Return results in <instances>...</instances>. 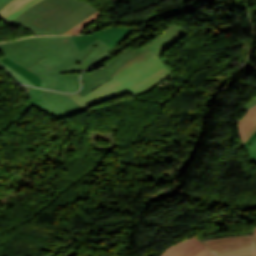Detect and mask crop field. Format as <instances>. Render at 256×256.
<instances>
[{
	"mask_svg": "<svg viewBox=\"0 0 256 256\" xmlns=\"http://www.w3.org/2000/svg\"><path fill=\"white\" fill-rule=\"evenodd\" d=\"M186 30L173 24L152 41L145 48L150 51L130 60L112 77L113 79L83 98L77 93L68 94L82 106L115 95L125 90L134 97L140 96L150 88L167 79L174 71L160 56L186 34Z\"/></svg>",
	"mask_w": 256,
	"mask_h": 256,
	"instance_id": "8a807250",
	"label": "crop field"
},
{
	"mask_svg": "<svg viewBox=\"0 0 256 256\" xmlns=\"http://www.w3.org/2000/svg\"><path fill=\"white\" fill-rule=\"evenodd\" d=\"M110 49L98 40L77 55L44 59L29 70L42 79L40 87L75 92L80 88L79 74L60 75V72L82 71L100 63L110 54Z\"/></svg>",
	"mask_w": 256,
	"mask_h": 256,
	"instance_id": "ac0d7876",
	"label": "crop field"
},
{
	"mask_svg": "<svg viewBox=\"0 0 256 256\" xmlns=\"http://www.w3.org/2000/svg\"><path fill=\"white\" fill-rule=\"evenodd\" d=\"M94 6L79 0H44L29 8L11 23L23 25L37 34H56Z\"/></svg>",
	"mask_w": 256,
	"mask_h": 256,
	"instance_id": "34b2d1b8",
	"label": "crop field"
},
{
	"mask_svg": "<svg viewBox=\"0 0 256 256\" xmlns=\"http://www.w3.org/2000/svg\"><path fill=\"white\" fill-rule=\"evenodd\" d=\"M0 50L28 69L44 58L78 53L70 36L25 38L2 43Z\"/></svg>",
	"mask_w": 256,
	"mask_h": 256,
	"instance_id": "412701ff",
	"label": "crop field"
},
{
	"mask_svg": "<svg viewBox=\"0 0 256 256\" xmlns=\"http://www.w3.org/2000/svg\"><path fill=\"white\" fill-rule=\"evenodd\" d=\"M25 88L31 98L33 106L57 118L86 111L67 94L33 87Z\"/></svg>",
	"mask_w": 256,
	"mask_h": 256,
	"instance_id": "f4fd0767",
	"label": "crop field"
},
{
	"mask_svg": "<svg viewBox=\"0 0 256 256\" xmlns=\"http://www.w3.org/2000/svg\"><path fill=\"white\" fill-rule=\"evenodd\" d=\"M148 50L142 48L140 50L132 51V50H125L110 62H108L104 67L93 71L92 73L88 74L84 72L82 74V84L83 88L81 91L77 92L82 97L92 91L93 89L97 88L98 86L102 85L104 82L112 79L111 76L119 70L125 63H127L130 59L146 52Z\"/></svg>",
	"mask_w": 256,
	"mask_h": 256,
	"instance_id": "dd49c442",
	"label": "crop field"
},
{
	"mask_svg": "<svg viewBox=\"0 0 256 256\" xmlns=\"http://www.w3.org/2000/svg\"><path fill=\"white\" fill-rule=\"evenodd\" d=\"M132 32L133 28L112 27L94 34L71 36V38L80 52L98 39L111 48H114L128 38Z\"/></svg>",
	"mask_w": 256,
	"mask_h": 256,
	"instance_id": "e52e79f7",
	"label": "crop field"
},
{
	"mask_svg": "<svg viewBox=\"0 0 256 256\" xmlns=\"http://www.w3.org/2000/svg\"><path fill=\"white\" fill-rule=\"evenodd\" d=\"M217 255L243 249H255L253 236H236L203 241Z\"/></svg>",
	"mask_w": 256,
	"mask_h": 256,
	"instance_id": "d8731c3e",
	"label": "crop field"
},
{
	"mask_svg": "<svg viewBox=\"0 0 256 256\" xmlns=\"http://www.w3.org/2000/svg\"><path fill=\"white\" fill-rule=\"evenodd\" d=\"M204 248H206L204 244L192 237L171 246L161 256H194Z\"/></svg>",
	"mask_w": 256,
	"mask_h": 256,
	"instance_id": "5a996713",
	"label": "crop field"
},
{
	"mask_svg": "<svg viewBox=\"0 0 256 256\" xmlns=\"http://www.w3.org/2000/svg\"><path fill=\"white\" fill-rule=\"evenodd\" d=\"M42 0H13L0 11V16L4 17V22H10L29 7Z\"/></svg>",
	"mask_w": 256,
	"mask_h": 256,
	"instance_id": "3316defc",
	"label": "crop field"
},
{
	"mask_svg": "<svg viewBox=\"0 0 256 256\" xmlns=\"http://www.w3.org/2000/svg\"><path fill=\"white\" fill-rule=\"evenodd\" d=\"M256 125V106L251 108L242 120L238 122L241 137L249 132Z\"/></svg>",
	"mask_w": 256,
	"mask_h": 256,
	"instance_id": "28ad6ade",
	"label": "crop field"
},
{
	"mask_svg": "<svg viewBox=\"0 0 256 256\" xmlns=\"http://www.w3.org/2000/svg\"><path fill=\"white\" fill-rule=\"evenodd\" d=\"M0 61H2L3 63L7 64L8 66L13 68L14 70L18 71L19 73H21L22 75L27 77L36 86H38V87L40 86L41 79L38 76H36L35 74H33L31 71H29L28 69H26L23 66L17 64L16 62L12 61L11 59H9L7 57H4V58L0 59Z\"/></svg>",
	"mask_w": 256,
	"mask_h": 256,
	"instance_id": "d1516ede",
	"label": "crop field"
},
{
	"mask_svg": "<svg viewBox=\"0 0 256 256\" xmlns=\"http://www.w3.org/2000/svg\"><path fill=\"white\" fill-rule=\"evenodd\" d=\"M100 15L101 14L98 12L95 13L91 17L87 18L86 20H84L83 22H81L80 24H78L77 26H75L74 28L69 30L68 32H66L65 34H78L82 29H84L87 25H89L91 22H93Z\"/></svg>",
	"mask_w": 256,
	"mask_h": 256,
	"instance_id": "22f410ed",
	"label": "crop field"
},
{
	"mask_svg": "<svg viewBox=\"0 0 256 256\" xmlns=\"http://www.w3.org/2000/svg\"><path fill=\"white\" fill-rule=\"evenodd\" d=\"M0 65L13 77L15 78L17 81L23 83V84H27V85H33L35 86L32 82H30L27 78H25L24 76H22L21 74H19L18 72L14 71L13 69H11L10 67H8L7 65L3 64L2 62H0Z\"/></svg>",
	"mask_w": 256,
	"mask_h": 256,
	"instance_id": "cbeb9de0",
	"label": "crop field"
},
{
	"mask_svg": "<svg viewBox=\"0 0 256 256\" xmlns=\"http://www.w3.org/2000/svg\"><path fill=\"white\" fill-rule=\"evenodd\" d=\"M248 154L250 155V162L256 163V138L251 143L248 149Z\"/></svg>",
	"mask_w": 256,
	"mask_h": 256,
	"instance_id": "5142ce71",
	"label": "crop field"
},
{
	"mask_svg": "<svg viewBox=\"0 0 256 256\" xmlns=\"http://www.w3.org/2000/svg\"><path fill=\"white\" fill-rule=\"evenodd\" d=\"M95 12H97V9L95 8L94 10H92L91 12H89L88 14H86L85 16H83L82 18H80L79 20H77L76 22H74L73 24H71L70 26H68L67 28H65L64 30H62L61 32H59L58 34H63L66 31H68L69 29H71L72 27H74L75 25H77L78 23H80L81 21H83L84 19H86L87 17L91 16L92 14H94Z\"/></svg>",
	"mask_w": 256,
	"mask_h": 256,
	"instance_id": "d9b57169",
	"label": "crop field"
},
{
	"mask_svg": "<svg viewBox=\"0 0 256 256\" xmlns=\"http://www.w3.org/2000/svg\"><path fill=\"white\" fill-rule=\"evenodd\" d=\"M126 93H128V92H127V91H125V92L120 93V94H117V95H115V96H112V97H109V98L103 99V100H101V101H98V102H95V103H92V104H89V105H87V106H84V109H87V108H89V107H92V106H95V105L101 104V103H103V102H106V101L112 100V99H114V98H116V97H118V96H120V95L126 94Z\"/></svg>",
	"mask_w": 256,
	"mask_h": 256,
	"instance_id": "733c2abd",
	"label": "crop field"
},
{
	"mask_svg": "<svg viewBox=\"0 0 256 256\" xmlns=\"http://www.w3.org/2000/svg\"><path fill=\"white\" fill-rule=\"evenodd\" d=\"M245 254H255V250H243V251L223 254L219 256H238V255H245Z\"/></svg>",
	"mask_w": 256,
	"mask_h": 256,
	"instance_id": "4a817a6b",
	"label": "crop field"
},
{
	"mask_svg": "<svg viewBox=\"0 0 256 256\" xmlns=\"http://www.w3.org/2000/svg\"><path fill=\"white\" fill-rule=\"evenodd\" d=\"M196 256H215V255L210 250H208L206 248L203 251H201L199 254H197Z\"/></svg>",
	"mask_w": 256,
	"mask_h": 256,
	"instance_id": "bc2a9ffb",
	"label": "crop field"
},
{
	"mask_svg": "<svg viewBox=\"0 0 256 256\" xmlns=\"http://www.w3.org/2000/svg\"><path fill=\"white\" fill-rule=\"evenodd\" d=\"M256 131V126L248 133L246 134L243 138H242V143L243 145L245 144V142L247 141V139Z\"/></svg>",
	"mask_w": 256,
	"mask_h": 256,
	"instance_id": "214f88e0",
	"label": "crop field"
},
{
	"mask_svg": "<svg viewBox=\"0 0 256 256\" xmlns=\"http://www.w3.org/2000/svg\"><path fill=\"white\" fill-rule=\"evenodd\" d=\"M254 105H256V98L253 99L252 101H250L244 108V110H248L249 108L253 107Z\"/></svg>",
	"mask_w": 256,
	"mask_h": 256,
	"instance_id": "92a150f3",
	"label": "crop field"
},
{
	"mask_svg": "<svg viewBox=\"0 0 256 256\" xmlns=\"http://www.w3.org/2000/svg\"><path fill=\"white\" fill-rule=\"evenodd\" d=\"M256 137V132L248 139V141L245 144V148L246 150L248 149V146L250 145V143L252 142V140Z\"/></svg>",
	"mask_w": 256,
	"mask_h": 256,
	"instance_id": "dafd665d",
	"label": "crop field"
},
{
	"mask_svg": "<svg viewBox=\"0 0 256 256\" xmlns=\"http://www.w3.org/2000/svg\"><path fill=\"white\" fill-rule=\"evenodd\" d=\"M11 0H0V10L6 6Z\"/></svg>",
	"mask_w": 256,
	"mask_h": 256,
	"instance_id": "00972430",
	"label": "crop field"
},
{
	"mask_svg": "<svg viewBox=\"0 0 256 256\" xmlns=\"http://www.w3.org/2000/svg\"><path fill=\"white\" fill-rule=\"evenodd\" d=\"M254 239H255V242H256V233H254Z\"/></svg>",
	"mask_w": 256,
	"mask_h": 256,
	"instance_id": "a9b5d70f",
	"label": "crop field"
},
{
	"mask_svg": "<svg viewBox=\"0 0 256 256\" xmlns=\"http://www.w3.org/2000/svg\"><path fill=\"white\" fill-rule=\"evenodd\" d=\"M253 230H254V232H256V226H255V227H253Z\"/></svg>",
	"mask_w": 256,
	"mask_h": 256,
	"instance_id": "4177f3b9",
	"label": "crop field"
},
{
	"mask_svg": "<svg viewBox=\"0 0 256 256\" xmlns=\"http://www.w3.org/2000/svg\"><path fill=\"white\" fill-rule=\"evenodd\" d=\"M246 256H255V255H246Z\"/></svg>",
	"mask_w": 256,
	"mask_h": 256,
	"instance_id": "730fd06b",
	"label": "crop field"
},
{
	"mask_svg": "<svg viewBox=\"0 0 256 256\" xmlns=\"http://www.w3.org/2000/svg\"><path fill=\"white\" fill-rule=\"evenodd\" d=\"M256 244V243H255Z\"/></svg>",
	"mask_w": 256,
	"mask_h": 256,
	"instance_id": "eef30255",
	"label": "crop field"
},
{
	"mask_svg": "<svg viewBox=\"0 0 256 256\" xmlns=\"http://www.w3.org/2000/svg\"><path fill=\"white\" fill-rule=\"evenodd\" d=\"M1 18V17H0Z\"/></svg>",
	"mask_w": 256,
	"mask_h": 256,
	"instance_id": "ae1a2a85",
	"label": "crop field"
}]
</instances>
